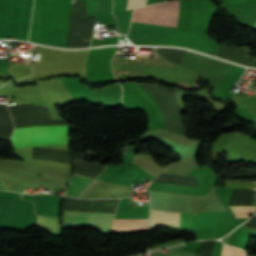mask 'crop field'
Here are the masks:
<instances>
[{"instance_id":"obj_2","label":"crop field","mask_w":256,"mask_h":256,"mask_svg":"<svg viewBox=\"0 0 256 256\" xmlns=\"http://www.w3.org/2000/svg\"><path fill=\"white\" fill-rule=\"evenodd\" d=\"M178 8L179 0L144 6L134 9L132 21L176 27Z\"/></svg>"},{"instance_id":"obj_9","label":"crop field","mask_w":256,"mask_h":256,"mask_svg":"<svg viewBox=\"0 0 256 256\" xmlns=\"http://www.w3.org/2000/svg\"><path fill=\"white\" fill-rule=\"evenodd\" d=\"M145 2L146 0H128L126 11L133 9L134 7L143 6Z\"/></svg>"},{"instance_id":"obj_7","label":"crop field","mask_w":256,"mask_h":256,"mask_svg":"<svg viewBox=\"0 0 256 256\" xmlns=\"http://www.w3.org/2000/svg\"><path fill=\"white\" fill-rule=\"evenodd\" d=\"M229 207L233 210L236 217H247L256 208L254 206H229Z\"/></svg>"},{"instance_id":"obj_3","label":"crop field","mask_w":256,"mask_h":256,"mask_svg":"<svg viewBox=\"0 0 256 256\" xmlns=\"http://www.w3.org/2000/svg\"><path fill=\"white\" fill-rule=\"evenodd\" d=\"M179 213L151 210V226L178 227ZM209 226L208 213H180L179 227L198 228Z\"/></svg>"},{"instance_id":"obj_6","label":"crop field","mask_w":256,"mask_h":256,"mask_svg":"<svg viewBox=\"0 0 256 256\" xmlns=\"http://www.w3.org/2000/svg\"><path fill=\"white\" fill-rule=\"evenodd\" d=\"M37 225L51 231L61 233L60 216L37 215Z\"/></svg>"},{"instance_id":"obj_1","label":"crop field","mask_w":256,"mask_h":256,"mask_svg":"<svg viewBox=\"0 0 256 256\" xmlns=\"http://www.w3.org/2000/svg\"><path fill=\"white\" fill-rule=\"evenodd\" d=\"M14 147L36 144H68V127H38L14 129Z\"/></svg>"},{"instance_id":"obj_5","label":"crop field","mask_w":256,"mask_h":256,"mask_svg":"<svg viewBox=\"0 0 256 256\" xmlns=\"http://www.w3.org/2000/svg\"><path fill=\"white\" fill-rule=\"evenodd\" d=\"M148 220H114L111 230L138 231L147 230Z\"/></svg>"},{"instance_id":"obj_8","label":"crop field","mask_w":256,"mask_h":256,"mask_svg":"<svg viewBox=\"0 0 256 256\" xmlns=\"http://www.w3.org/2000/svg\"><path fill=\"white\" fill-rule=\"evenodd\" d=\"M221 256H244V252L234 247L223 245Z\"/></svg>"},{"instance_id":"obj_4","label":"crop field","mask_w":256,"mask_h":256,"mask_svg":"<svg viewBox=\"0 0 256 256\" xmlns=\"http://www.w3.org/2000/svg\"><path fill=\"white\" fill-rule=\"evenodd\" d=\"M63 218L81 219V220L112 221L113 216L64 211ZM111 223L112 222L80 221V220L63 219V227L92 226V227H100V228L110 229Z\"/></svg>"}]
</instances>
